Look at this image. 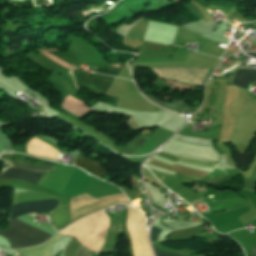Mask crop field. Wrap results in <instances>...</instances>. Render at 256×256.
I'll list each match as a JSON object with an SVG mask.
<instances>
[{"mask_svg": "<svg viewBox=\"0 0 256 256\" xmlns=\"http://www.w3.org/2000/svg\"><path fill=\"white\" fill-rule=\"evenodd\" d=\"M10 229L21 233L31 239H34L40 243L46 241L47 239L51 238L52 234L20 219L15 218L12 221H10ZM6 230L5 232H0L1 235L6 236L13 244L15 248H25L33 245H37L39 243L20 235L12 230Z\"/></svg>", "mask_w": 256, "mask_h": 256, "instance_id": "1", "label": "crop field"}, {"mask_svg": "<svg viewBox=\"0 0 256 256\" xmlns=\"http://www.w3.org/2000/svg\"><path fill=\"white\" fill-rule=\"evenodd\" d=\"M127 228L133 242L134 256H153L147 240V231L144 229V217L133 208L127 206Z\"/></svg>", "mask_w": 256, "mask_h": 256, "instance_id": "2", "label": "crop field"}, {"mask_svg": "<svg viewBox=\"0 0 256 256\" xmlns=\"http://www.w3.org/2000/svg\"><path fill=\"white\" fill-rule=\"evenodd\" d=\"M76 84L80 89L83 87L103 95L109 88L113 77L96 74L93 78L77 71H73Z\"/></svg>", "mask_w": 256, "mask_h": 256, "instance_id": "3", "label": "crop field"}, {"mask_svg": "<svg viewBox=\"0 0 256 256\" xmlns=\"http://www.w3.org/2000/svg\"><path fill=\"white\" fill-rule=\"evenodd\" d=\"M59 204L56 199L31 201L25 203L14 204L12 207L10 220L16 216L26 213L53 211Z\"/></svg>", "mask_w": 256, "mask_h": 256, "instance_id": "4", "label": "crop field"}, {"mask_svg": "<svg viewBox=\"0 0 256 256\" xmlns=\"http://www.w3.org/2000/svg\"><path fill=\"white\" fill-rule=\"evenodd\" d=\"M46 163L54 164L49 161H45ZM42 174L33 172V171H28L20 168H9L7 171H5L3 174L0 175V178H7V179H22L28 182L36 183L38 184Z\"/></svg>", "mask_w": 256, "mask_h": 256, "instance_id": "5", "label": "crop field"}, {"mask_svg": "<svg viewBox=\"0 0 256 256\" xmlns=\"http://www.w3.org/2000/svg\"><path fill=\"white\" fill-rule=\"evenodd\" d=\"M256 80V70L238 69L233 84L246 89L247 84Z\"/></svg>", "mask_w": 256, "mask_h": 256, "instance_id": "6", "label": "crop field"}, {"mask_svg": "<svg viewBox=\"0 0 256 256\" xmlns=\"http://www.w3.org/2000/svg\"><path fill=\"white\" fill-rule=\"evenodd\" d=\"M75 162L82 169H84L85 171H87L88 173H90L96 177L102 178L105 175H107L103 172V170H102L103 168L101 169V167L99 166L98 163H96L90 159L77 158V159H75Z\"/></svg>", "mask_w": 256, "mask_h": 256, "instance_id": "7", "label": "crop field"}, {"mask_svg": "<svg viewBox=\"0 0 256 256\" xmlns=\"http://www.w3.org/2000/svg\"><path fill=\"white\" fill-rule=\"evenodd\" d=\"M51 216L56 229L70 221L69 203L60 204V206L51 213Z\"/></svg>", "mask_w": 256, "mask_h": 256, "instance_id": "8", "label": "crop field"}, {"mask_svg": "<svg viewBox=\"0 0 256 256\" xmlns=\"http://www.w3.org/2000/svg\"><path fill=\"white\" fill-rule=\"evenodd\" d=\"M148 99H150L152 102L162 106V107H165V108H168L170 110H173V111H176V112H180L183 108L185 109H189V108H192L188 105H185L183 101H178V100H174L172 104H169V103H164V102H160V101H156L154 100L153 97H150V96H147L145 95Z\"/></svg>", "mask_w": 256, "mask_h": 256, "instance_id": "9", "label": "crop field"}, {"mask_svg": "<svg viewBox=\"0 0 256 256\" xmlns=\"http://www.w3.org/2000/svg\"><path fill=\"white\" fill-rule=\"evenodd\" d=\"M88 69L96 71L98 73L110 74L114 76H116L118 71L120 70L119 67H113V66H110L107 69L105 68H88Z\"/></svg>", "mask_w": 256, "mask_h": 256, "instance_id": "10", "label": "crop field"}, {"mask_svg": "<svg viewBox=\"0 0 256 256\" xmlns=\"http://www.w3.org/2000/svg\"><path fill=\"white\" fill-rule=\"evenodd\" d=\"M145 139L146 138L137 137L134 140H132L130 143H127L126 146L124 147V153L127 155Z\"/></svg>", "mask_w": 256, "mask_h": 256, "instance_id": "11", "label": "crop field"}, {"mask_svg": "<svg viewBox=\"0 0 256 256\" xmlns=\"http://www.w3.org/2000/svg\"><path fill=\"white\" fill-rule=\"evenodd\" d=\"M178 160H182V161H186V162H190V163H194V164H199V165H204V166H209V167H213L214 165L210 162H203V161H198V160H193V159H189V158H185V157H177Z\"/></svg>", "mask_w": 256, "mask_h": 256, "instance_id": "12", "label": "crop field"}, {"mask_svg": "<svg viewBox=\"0 0 256 256\" xmlns=\"http://www.w3.org/2000/svg\"><path fill=\"white\" fill-rule=\"evenodd\" d=\"M47 52L50 53V54H52V55H55V56H57V57H59V58H62V59H64V60L68 61V62H73V63H75V64L78 63L77 61H75V60L69 58L68 56L64 55L63 53H61V52H59V51H47Z\"/></svg>", "mask_w": 256, "mask_h": 256, "instance_id": "13", "label": "crop field"}, {"mask_svg": "<svg viewBox=\"0 0 256 256\" xmlns=\"http://www.w3.org/2000/svg\"><path fill=\"white\" fill-rule=\"evenodd\" d=\"M154 247V252L156 256H178V255H174V254H170L164 251L159 250L158 248Z\"/></svg>", "mask_w": 256, "mask_h": 256, "instance_id": "14", "label": "crop field"}, {"mask_svg": "<svg viewBox=\"0 0 256 256\" xmlns=\"http://www.w3.org/2000/svg\"><path fill=\"white\" fill-rule=\"evenodd\" d=\"M159 232H161V230H159V229H157V228H155V227H152L150 240H151V241H156Z\"/></svg>", "mask_w": 256, "mask_h": 256, "instance_id": "15", "label": "crop field"}, {"mask_svg": "<svg viewBox=\"0 0 256 256\" xmlns=\"http://www.w3.org/2000/svg\"><path fill=\"white\" fill-rule=\"evenodd\" d=\"M85 248L81 247L77 250V252L74 254V256H81ZM90 252L85 249L82 256H89Z\"/></svg>", "mask_w": 256, "mask_h": 256, "instance_id": "16", "label": "crop field"}, {"mask_svg": "<svg viewBox=\"0 0 256 256\" xmlns=\"http://www.w3.org/2000/svg\"><path fill=\"white\" fill-rule=\"evenodd\" d=\"M251 256H256V247L252 248Z\"/></svg>", "mask_w": 256, "mask_h": 256, "instance_id": "17", "label": "crop field"}, {"mask_svg": "<svg viewBox=\"0 0 256 256\" xmlns=\"http://www.w3.org/2000/svg\"><path fill=\"white\" fill-rule=\"evenodd\" d=\"M247 55H249V56H252V57L256 58V53H247Z\"/></svg>", "mask_w": 256, "mask_h": 256, "instance_id": "18", "label": "crop field"}, {"mask_svg": "<svg viewBox=\"0 0 256 256\" xmlns=\"http://www.w3.org/2000/svg\"><path fill=\"white\" fill-rule=\"evenodd\" d=\"M91 256H94V255H91Z\"/></svg>", "mask_w": 256, "mask_h": 256, "instance_id": "19", "label": "crop field"}, {"mask_svg": "<svg viewBox=\"0 0 256 256\" xmlns=\"http://www.w3.org/2000/svg\"><path fill=\"white\" fill-rule=\"evenodd\" d=\"M54 160V159H53Z\"/></svg>", "mask_w": 256, "mask_h": 256, "instance_id": "20", "label": "crop field"}]
</instances>
